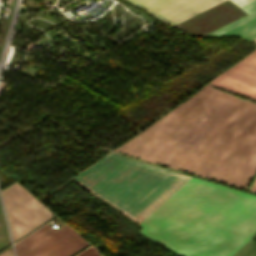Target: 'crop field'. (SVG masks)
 <instances>
[{"label": "crop field", "instance_id": "crop-field-8", "mask_svg": "<svg viewBox=\"0 0 256 256\" xmlns=\"http://www.w3.org/2000/svg\"><path fill=\"white\" fill-rule=\"evenodd\" d=\"M256 173V126L251 131L219 181L247 187Z\"/></svg>", "mask_w": 256, "mask_h": 256}, {"label": "crop field", "instance_id": "crop-field-6", "mask_svg": "<svg viewBox=\"0 0 256 256\" xmlns=\"http://www.w3.org/2000/svg\"><path fill=\"white\" fill-rule=\"evenodd\" d=\"M209 84L256 100V49Z\"/></svg>", "mask_w": 256, "mask_h": 256}, {"label": "crop field", "instance_id": "crop-field-12", "mask_svg": "<svg viewBox=\"0 0 256 256\" xmlns=\"http://www.w3.org/2000/svg\"><path fill=\"white\" fill-rule=\"evenodd\" d=\"M77 256H103L100 252L94 249L92 246L78 254Z\"/></svg>", "mask_w": 256, "mask_h": 256}, {"label": "crop field", "instance_id": "crop-field-15", "mask_svg": "<svg viewBox=\"0 0 256 256\" xmlns=\"http://www.w3.org/2000/svg\"><path fill=\"white\" fill-rule=\"evenodd\" d=\"M255 39V38H254ZM253 40V39H252ZM254 42H256V39L255 40H253Z\"/></svg>", "mask_w": 256, "mask_h": 256}, {"label": "crop field", "instance_id": "crop-field-13", "mask_svg": "<svg viewBox=\"0 0 256 256\" xmlns=\"http://www.w3.org/2000/svg\"><path fill=\"white\" fill-rule=\"evenodd\" d=\"M0 256H13L12 248H9L8 250L4 251L0 254Z\"/></svg>", "mask_w": 256, "mask_h": 256}, {"label": "crop field", "instance_id": "crop-field-3", "mask_svg": "<svg viewBox=\"0 0 256 256\" xmlns=\"http://www.w3.org/2000/svg\"><path fill=\"white\" fill-rule=\"evenodd\" d=\"M210 88V85L207 84L194 96L173 110L171 114L169 113L170 115L167 114L144 132L120 146L115 151L137 157L169 115L138 156V158L161 164Z\"/></svg>", "mask_w": 256, "mask_h": 256}, {"label": "crop field", "instance_id": "crop-field-9", "mask_svg": "<svg viewBox=\"0 0 256 256\" xmlns=\"http://www.w3.org/2000/svg\"><path fill=\"white\" fill-rule=\"evenodd\" d=\"M205 36H242L252 40L256 38V11Z\"/></svg>", "mask_w": 256, "mask_h": 256}, {"label": "crop field", "instance_id": "crop-field-7", "mask_svg": "<svg viewBox=\"0 0 256 256\" xmlns=\"http://www.w3.org/2000/svg\"><path fill=\"white\" fill-rule=\"evenodd\" d=\"M175 25L223 0H128Z\"/></svg>", "mask_w": 256, "mask_h": 256}, {"label": "crop field", "instance_id": "crop-field-1", "mask_svg": "<svg viewBox=\"0 0 256 256\" xmlns=\"http://www.w3.org/2000/svg\"><path fill=\"white\" fill-rule=\"evenodd\" d=\"M138 224L180 256H231L256 233V197L189 177Z\"/></svg>", "mask_w": 256, "mask_h": 256}, {"label": "crop field", "instance_id": "crop-field-5", "mask_svg": "<svg viewBox=\"0 0 256 256\" xmlns=\"http://www.w3.org/2000/svg\"><path fill=\"white\" fill-rule=\"evenodd\" d=\"M67 227L65 224L56 231L49 225H44L15 244L17 256L25 255ZM86 244L88 243L69 227L25 256H69Z\"/></svg>", "mask_w": 256, "mask_h": 256}, {"label": "crop field", "instance_id": "crop-field-2", "mask_svg": "<svg viewBox=\"0 0 256 256\" xmlns=\"http://www.w3.org/2000/svg\"><path fill=\"white\" fill-rule=\"evenodd\" d=\"M248 104L211 88L162 164L202 175ZM255 124L250 102L203 176L218 181Z\"/></svg>", "mask_w": 256, "mask_h": 256}, {"label": "crop field", "instance_id": "crop-field-11", "mask_svg": "<svg viewBox=\"0 0 256 256\" xmlns=\"http://www.w3.org/2000/svg\"><path fill=\"white\" fill-rule=\"evenodd\" d=\"M246 14L256 10V0H230Z\"/></svg>", "mask_w": 256, "mask_h": 256}, {"label": "crop field", "instance_id": "crop-field-4", "mask_svg": "<svg viewBox=\"0 0 256 256\" xmlns=\"http://www.w3.org/2000/svg\"><path fill=\"white\" fill-rule=\"evenodd\" d=\"M1 193L13 241L55 216L17 182Z\"/></svg>", "mask_w": 256, "mask_h": 256}, {"label": "crop field", "instance_id": "crop-field-14", "mask_svg": "<svg viewBox=\"0 0 256 256\" xmlns=\"http://www.w3.org/2000/svg\"><path fill=\"white\" fill-rule=\"evenodd\" d=\"M248 190H252V191H255V192H256V180H255V182L253 183V185L251 186V188L248 189Z\"/></svg>", "mask_w": 256, "mask_h": 256}, {"label": "crop field", "instance_id": "crop-field-10", "mask_svg": "<svg viewBox=\"0 0 256 256\" xmlns=\"http://www.w3.org/2000/svg\"><path fill=\"white\" fill-rule=\"evenodd\" d=\"M10 244L5 221H4V216L0 204V250Z\"/></svg>", "mask_w": 256, "mask_h": 256}]
</instances>
